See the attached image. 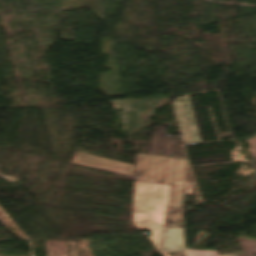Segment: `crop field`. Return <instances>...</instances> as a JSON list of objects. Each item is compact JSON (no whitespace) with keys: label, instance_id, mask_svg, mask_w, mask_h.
I'll return each mask as SVG.
<instances>
[{"label":"crop field","instance_id":"obj_5","mask_svg":"<svg viewBox=\"0 0 256 256\" xmlns=\"http://www.w3.org/2000/svg\"><path fill=\"white\" fill-rule=\"evenodd\" d=\"M138 230L140 229H146L150 230L152 232L151 236L148 237V239L151 241V243L157 248V250L160 252V241H161V235H162V229L163 226L158 225H147V224H137L133 223ZM161 253V252H160ZM163 256H169L166 254L161 253Z\"/></svg>","mask_w":256,"mask_h":256},{"label":"crop field","instance_id":"obj_7","mask_svg":"<svg viewBox=\"0 0 256 256\" xmlns=\"http://www.w3.org/2000/svg\"><path fill=\"white\" fill-rule=\"evenodd\" d=\"M188 256H217L216 251L187 250Z\"/></svg>","mask_w":256,"mask_h":256},{"label":"crop field","instance_id":"obj_1","mask_svg":"<svg viewBox=\"0 0 256 256\" xmlns=\"http://www.w3.org/2000/svg\"><path fill=\"white\" fill-rule=\"evenodd\" d=\"M174 158L137 154L135 166L76 152L71 163L170 185Z\"/></svg>","mask_w":256,"mask_h":256},{"label":"crop field","instance_id":"obj_4","mask_svg":"<svg viewBox=\"0 0 256 256\" xmlns=\"http://www.w3.org/2000/svg\"><path fill=\"white\" fill-rule=\"evenodd\" d=\"M162 251L166 253L184 251L181 228H165Z\"/></svg>","mask_w":256,"mask_h":256},{"label":"crop field","instance_id":"obj_2","mask_svg":"<svg viewBox=\"0 0 256 256\" xmlns=\"http://www.w3.org/2000/svg\"><path fill=\"white\" fill-rule=\"evenodd\" d=\"M179 101H183L180 105ZM184 145L201 143L187 97L172 103Z\"/></svg>","mask_w":256,"mask_h":256},{"label":"crop field","instance_id":"obj_3","mask_svg":"<svg viewBox=\"0 0 256 256\" xmlns=\"http://www.w3.org/2000/svg\"><path fill=\"white\" fill-rule=\"evenodd\" d=\"M187 165L185 160L177 159L170 194L169 207H181Z\"/></svg>","mask_w":256,"mask_h":256},{"label":"crop field","instance_id":"obj_8","mask_svg":"<svg viewBox=\"0 0 256 256\" xmlns=\"http://www.w3.org/2000/svg\"><path fill=\"white\" fill-rule=\"evenodd\" d=\"M218 256H236V254L218 255Z\"/></svg>","mask_w":256,"mask_h":256},{"label":"crop field","instance_id":"obj_6","mask_svg":"<svg viewBox=\"0 0 256 256\" xmlns=\"http://www.w3.org/2000/svg\"><path fill=\"white\" fill-rule=\"evenodd\" d=\"M165 216L133 213L132 222L163 225Z\"/></svg>","mask_w":256,"mask_h":256}]
</instances>
